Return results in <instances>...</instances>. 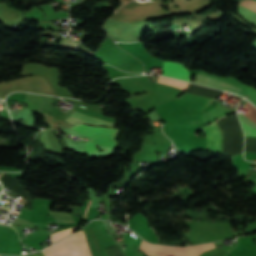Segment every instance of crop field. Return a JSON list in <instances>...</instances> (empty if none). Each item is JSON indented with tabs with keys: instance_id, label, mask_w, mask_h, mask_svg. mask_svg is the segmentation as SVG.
Here are the masks:
<instances>
[{
	"instance_id": "crop-field-1",
	"label": "crop field",
	"mask_w": 256,
	"mask_h": 256,
	"mask_svg": "<svg viewBox=\"0 0 256 256\" xmlns=\"http://www.w3.org/2000/svg\"><path fill=\"white\" fill-rule=\"evenodd\" d=\"M71 128L89 138V141L85 142V147L89 153L98 151L95 144L114 148L117 145L115 137L119 129L99 128L86 125H79Z\"/></svg>"
},
{
	"instance_id": "crop-field-11",
	"label": "crop field",
	"mask_w": 256,
	"mask_h": 256,
	"mask_svg": "<svg viewBox=\"0 0 256 256\" xmlns=\"http://www.w3.org/2000/svg\"><path fill=\"white\" fill-rule=\"evenodd\" d=\"M54 220H66V221H74L72 216L67 213H53L50 212ZM65 222V221H63Z\"/></svg>"
},
{
	"instance_id": "crop-field-12",
	"label": "crop field",
	"mask_w": 256,
	"mask_h": 256,
	"mask_svg": "<svg viewBox=\"0 0 256 256\" xmlns=\"http://www.w3.org/2000/svg\"><path fill=\"white\" fill-rule=\"evenodd\" d=\"M240 4L256 11V2L244 0V1L240 2Z\"/></svg>"
},
{
	"instance_id": "crop-field-2",
	"label": "crop field",
	"mask_w": 256,
	"mask_h": 256,
	"mask_svg": "<svg viewBox=\"0 0 256 256\" xmlns=\"http://www.w3.org/2000/svg\"><path fill=\"white\" fill-rule=\"evenodd\" d=\"M67 256H90L86 242L81 231L61 240ZM59 241L55 245L43 250L45 256H66Z\"/></svg>"
},
{
	"instance_id": "crop-field-6",
	"label": "crop field",
	"mask_w": 256,
	"mask_h": 256,
	"mask_svg": "<svg viewBox=\"0 0 256 256\" xmlns=\"http://www.w3.org/2000/svg\"><path fill=\"white\" fill-rule=\"evenodd\" d=\"M194 83L206 85L209 87H213V88H217V89H221V90H225V91L235 92V93H238L241 91V89H239L233 85L227 84L223 81H219V80L210 78V77L205 76L200 73H197L196 81H194Z\"/></svg>"
},
{
	"instance_id": "crop-field-13",
	"label": "crop field",
	"mask_w": 256,
	"mask_h": 256,
	"mask_svg": "<svg viewBox=\"0 0 256 256\" xmlns=\"http://www.w3.org/2000/svg\"><path fill=\"white\" fill-rule=\"evenodd\" d=\"M90 203H91V200H90V202H89V204H88V206H87L86 212H87V210H88V208H89V206H90ZM84 217H86V213H85Z\"/></svg>"
},
{
	"instance_id": "crop-field-4",
	"label": "crop field",
	"mask_w": 256,
	"mask_h": 256,
	"mask_svg": "<svg viewBox=\"0 0 256 256\" xmlns=\"http://www.w3.org/2000/svg\"><path fill=\"white\" fill-rule=\"evenodd\" d=\"M204 132L207 135V149L213 150L219 154L222 152V133L218 128L216 122L210 126L203 128Z\"/></svg>"
},
{
	"instance_id": "crop-field-14",
	"label": "crop field",
	"mask_w": 256,
	"mask_h": 256,
	"mask_svg": "<svg viewBox=\"0 0 256 256\" xmlns=\"http://www.w3.org/2000/svg\"><path fill=\"white\" fill-rule=\"evenodd\" d=\"M2 175H3V173L0 174V178H1Z\"/></svg>"
},
{
	"instance_id": "crop-field-7",
	"label": "crop field",
	"mask_w": 256,
	"mask_h": 256,
	"mask_svg": "<svg viewBox=\"0 0 256 256\" xmlns=\"http://www.w3.org/2000/svg\"><path fill=\"white\" fill-rule=\"evenodd\" d=\"M163 74L189 81L188 70L181 64L165 61L163 63Z\"/></svg>"
},
{
	"instance_id": "crop-field-8",
	"label": "crop field",
	"mask_w": 256,
	"mask_h": 256,
	"mask_svg": "<svg viewBox=\"0 0 256 256\" xmlns=\"http://www.w3.org/2000/svg\"><path fill=\"white\" fill-rule=\"evenodd\" d=\"M66 120L70 121L71 123L78 125L80 123H86V124H92V125H100V126H110V127H115V123H111V122H106V121H102L100 119H96V118H92V117H88L86 115L74 112L69 118H67ZM65 120V121H66ZM67 121V122H68ZM69 122V123H70Z\"/></svg>"
},
{
	"instance_id": "crop-field-9",
	"label": "crop field",
	"mask_w": 256,
	"mask_h": 256,
	"mask_svg": "<svg viewBox=\"0 0 256 256\" xmlns=\"http://www.w3.org/2000/svg\"><path fill=\"white\" fill-rule=\"evenodd\" d=\"M158 82H162V83L170 84V85H173V86L179 87V88H181V89H183V90H185V88L188 86V84H187V83H183V82L175 81V80L168 79V78L161 77V76L159 77Z\"/></svg>"
},
{
	"instance_id": "crop-field-10",
	"label": "crop field",
	"mask_w": 256,
	"mask_h": 256,
	"mask_svg": "<svg viewBox=\"0 0 256 256\" xmlns=\"http://www.w3.org/2000/svg\"><path fill=\"white\" fill-rule=\"evenodd\" d=\"M76 228H77V226L73 227V228H70V229H66V230L60 231V232L52 235L53 242H56V241L60 240L61 238L71 234L72 231L75 230Z\"/></svg>"
},
{
	"instance_id": "crop-field-5",
	"label": "crop field",
	"mask_w": 256,
	"mask_h": 256,
	"mask_svg": "<svg viewBox=\"0 0 256 256\" xmlns=\"http://www.w3.org/2000/svg\"><path fill=\"white\" fill-rule=\"evenodd\" d=\"M243 108L248 110L244 115L239 114L245 136L256 137V109L249 103Z\"/></svg>"
},
{
	"instance_id": "crop-field-3",
	"label": "crop field",
	"mask_w": 256,
	"mask_h": 256,
	"mask_svg": "<svg viewBox=\"0 0 256 256\" xmlns=\"http://www.w3.org/2000/svg\"><path fill=\"white\" fill-rule=\"evenodd\" d=\"M141 247L151 249V250L164 251V252L191 253V252H198V251H206L214 247V244L210 243V244L191 247V248H174V247H163L158 245H151L142 241ZM151 250L142 249V251H144L147 256H199V254L202 253V252H198V253H191V254H173V253L156 252Z\"/></svg>"
}]
</instances>
